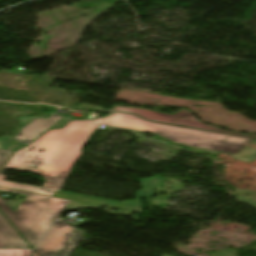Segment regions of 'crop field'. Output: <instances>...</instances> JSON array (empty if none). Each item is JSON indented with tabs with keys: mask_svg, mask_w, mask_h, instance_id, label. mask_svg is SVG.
I'll list each match as a JSON object with an SVG mask.
<instances>
[{
	"mask_svg": "<svg viewBox=\"0 0 256 256\" xmlns=\"http://www.w3.org/2000/svg\"><path fill=\"white\" fill-rule=\"evenodd\" d=\"M98 120L71 121L63 129L50 130L24 149L15 152L0 171V186L52 196L61 190L73 164L82 154V145ZM75 165V164H74ZM11 168L21 173H37L45 177L43 188L7 182L1 175Z\"/></svg>",
	"mask_w": 256,
	"mask_h": 256,
	"instance_id": "obj_1",
	"label": "crop field"
},
{
	"mask_svg": "<svg viewBox=\"0 0 256 256\" xmlns=\"http://www.w3.org/2000/svg\"><path fill=\"white\" fill-rule=\"evenodd\" d=\"M101 121L109 126L154 133L172 143L197 151L216 155L222 152L247 162L256 159V149L247 146L256 145L255 139L147 122L134 115L119 113H112Z\"/></svg>",
	"mask_w": 256,
	"mask_h": 256,
	"instance_id": "obj_2",
	"label": "crop field"
},
{
	"mask_svg": "<svg viewBox=\"0 0 256 256\" xmlns=\"http://www.w3.org/2000/svg\"><path fill=\"white\" fill-rule=\"evenodd\" d=\"M49 115V119L41 117H19L20 127L16 129L13 136L0 138V145L5 149L16 150L28 145L49 128H61L72 118L54 112H49Z\"/></svg>",
	"mask_w": 256,
	"mask_h": 256,
	"instance_id": "obj_3",
	"label": "crop field"
},
{
	"mask_svg": "<svg viewBox=\"0 0 256 256\" xmlns=\"http://www.w3.org/2000/svg\"><path fill=\"white\" fill-rule=\"evenodd\" d=\"M81 208H101L80 202H72L51 197L43 208L32 219L21 233L23 237L33 246L37 244L43 234L62 210Z\"/></svg>",
	"mask_w": 256,
	"mask_h": 256,
	"instance_id": "obj_4",
	"label": "crop field"
},
{
	"mask_svg": "<svg viewBox=\"0 0 256 256\" xmlns=\"http://www.w3.org/2000/svg\"><path fill=\"white\" fill-rule=\"evenodd\" d=\"M81 233L64 221H57L35 250L39 256H69L80 241ZM74 237H77L75 241Z\"/></svg>",
	"mask_w": 256,
	"mask_h": 256,
	"instance_id": "obj_5",
	"label": "crop field"
},
{
	"mask_svg": "<svg viewBox=\"0 0 256 256\" xmlns=\"http://www.w3.org/2000/svg\"><path fill=\"white\" fill-rule=\"evenodd\" d=\"M80 106L96 109V112H102V113L109 112L108 110H104L98 106L85 105V104H80ZM112 111L134 113V114H136L140 117H143L145 119L157 121V122H163V123H168V124H174V125L199 128V129H205V130H211V131H217V132H223V133H229V134H235V135L256 138V136H252V135L233 133V132H228V131H224V130H220V129H216V128L207 126V125L201 123L200 121H198L197 119H195L192 116V114L185 109H183L173 115L159 113V112L145 110V109L119 107V106H114Z\"/></svg>",
	"mask_w": 256,
	"mask_h": 256,
	"instance_id": "obj_6",
	"label": "crop field"
},
{
	"mask_svg": "<svg viewBox=\"0 0 256 256\" xmlns=\"http://www.w3.org/2000/svg\"><path fill=\"white\" fill-rule=\"evenodd\" d=\"M6 191L15 192L22 196H28L25 201H2L0 199L1 211L21 233L49 198L32 193L0 188V192Z\"/></svg>",
	"mask_w": 256,
	"mask_h": 256,
	"instance_id": "obj_7",
	"label": "crop field"
},
{
	"mask_svg": "<svg viewBox=\"0 0 256 256\" xmlns=\"http://www.w3.org/2000/svg\"><path fill=\"white\" fill-rule=\"evenodd\" d=\"M53 196L62 198V199H67V200L86 202V203L95 204V205L104 206V207H114V208H119V209L131 211V212L142 213L139 201L118 203L113 201H107V200L69 194L61 191H58Z\"/></svg>",
	"mask_w": 256,
	"mask_h": 256,
	"instance_id": "obj_8",
	"label": "crop field"
},
{
	"mask_svg": "<svg viewBox=\"0 0 256 256\" xmlns=\"http://www.w3.org/2000/svg\"><path fill=\"white\" fill-rule=\"evenodd\" d=\"M0 243L4 247H29L1 213Z\"/></svg>",
	"mask_w": 256,
	"mask_h": 256,
	"instance_id": "obj_9",
	"label": "crop field"
},
{
	"mask_svg": "<svg viewBox=\"0 0 256 256\" xmlns=\"http://www.w3.org/2000/svg\"><path fill=\"white\" fill-rule=\"evenodd\" d=\"M162 180L163 178L159 176L139 180L144 190L135 192L137 199L153 196V189L161 187Z\"/></svg>",
	"mask_w": 256,
	"mask_h": 256,
	"instance_id": "obj_10",
	"label": "crop field"
},
{
	"mask_svg": "<svg viewBox=\"0 0 256 256\" xmlns=\"http://www.w3.org/2000/svg\"><path fill=\"white\" fill-rule=\"evenodd\" d=\"M20 249H0V256H19Z\"/></svg>",
	"mask_w": 256,
	"mask_h": 256,
	"instance_id": "obj_11",
	"label": "crop field"
},
{
	"mask_svg": "<svg viewBox=\"0 0 256 256\" xmlns=\"http://www.w3.org/2000/svg\"><path fill=\"white\" fill-rule=\"evenodd\" d=\"M12 152L14 151L0 149V167Z\"/></svg>",
	"mask_w": 256,
	"mask_h": 256,
	"instance_id": "obj_12",
	"label": "crop field"
},
{
	"mask_svg": "<svg viewBox=\"0 0 256 256\" xmlns=\"http://www.w3.org/2000/svg\"><path fill=\"white\" fill-rule=\"evenodd\" d=\"M20 256H31V250L30 249H21Z\"/></svg>",
	"mask_w": 256,
	"mask_h": 256,
	"instance_id": "obj_13",
	"label": "crop field"
},
{
	"mask_svg": "<svg viewBox=\"0 0 256 256\" xmlns=\"http://www.w3.org/2000/svg\"><path fill=\"white\" fill-rule=\"evenodd\" d=\"M0 247H2V246L0 245Z\"/></svg>",
	"mask_w": 256,
	"mask_h": 256,
	"instance_id": "obj_14",
	"label": "crop field"
}]
</instances>
